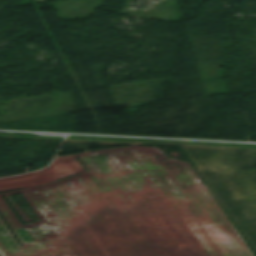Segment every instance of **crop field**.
<instances>
[{
    "instance_id": "1",
    "label": "crop field",
    "mask_w": 256,
    "mask_h": 256,
    "mask_svg": "<svg viewBox=\"0 0 256 256\" xmlns=\"http://www.w3.org/2000/svg\"><path fill=\"white\" fill-rule=\"evenodd\" d=\"M45 0H35V2H44Z\"/></svg>"
}]
</instances>
